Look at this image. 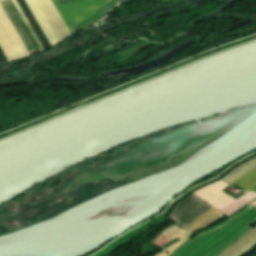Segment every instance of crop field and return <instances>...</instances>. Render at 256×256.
Listing matches in <instances>:
<instances>
[{
    "label": "crop field",
    "instance_id": "crop-field-1",
    "mask_svg": "<svg viewBox=\"0 0 256 256\" xmlns=\"http://www.w3.org/2000/svg\"><path fill=\"white\" fill-rule=\"evenodd\" d=\"M256 223V207L248 206L225 222L188 240L170 256H217Z\"/></svg>",
    "mask_w": 256,
    "mask_h": 256
},
{
    "label": "crop field",
    "instance_id": "crop-field-2",
    "mask_svg": "<svg viewBox=\"0 0 256 256\" xmlns=\"http://www.w3.org/2000/svg\"><path fill=\"white\" fill-rule=\"evenodd\" d=\"M211 207L213 206L192 194L176 205L170 217L184 227Z\"/></svg>",
    "mask_w": 256,
    "mask_h": 256
},
{
    "label": "crop field",
    "instance_id": "crop-field-3",
    "mask_svg": "<svg viewBox=\"0 0 256 256\" xmlns=\"http://www.w3.org/2000/svg\"><path fill=\"white\" fill-rule=\"evenodd\" d=\"M235 183H237L242 188L247 189L248 191H256V169H254Z\"/></svg>",
    "mask_w": 256,
    "mask_h": 256
}]
</instances>
